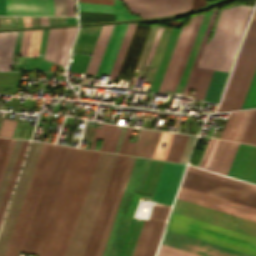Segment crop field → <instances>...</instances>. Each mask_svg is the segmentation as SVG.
<instances>
[{"label":"crop field","mask_w":256,"mask_h":256,"mask_svg":"<svg viewBox=\"0 0 256 256\" xmlns=\"http://www.w3.org/2000/svg\"><path fill=\"white\" fill-rule=\"evenodd\" d=\"M133 128H128L119 153L124 154Z\"/></svg>","instance_id":"53"},{"label":"crop field","mask_w":256,"mask_h":256,"mask_svg":"<svg viewBox=\"0 0 256 256\" xmlns=\"http://www.w3.org/2000/svg\"><path fill=\"white\" fill-rule=\"evenodd\" d=\"M182 186L256 207V192L203 176L194 172L185 171Z\"/></svg>","instance_id":"9"},{"label":"crop field","mask_w":256,"mask_h":256,"mask_svg":"<svg viewBox=\"0 0 256 256\" xmlns=\"http://www.w3.org/2000/svg\"><path fill=\"white\" fill-rule=\"evenodd\" d=\"M114 2L115 6L82 2H78V6L79 10L116 13V20L138 18L135 15L131 16L128 14L127 10L120 1L114 0Z\"/></svg>","instance_id":"27"},{"label":"crop field","mask_w":256,"mask_h":256,"mask_svg":"<svg viewBox=\"0 0 256 256\" xmlns=\"http://www.w3.org/2000/svg\"><path fill=\"white\" fill-rule=\"evenodd\" d=\"M56 145L47 144L8 256H17ZM76 148L57 145L21 251L39 254Z\"/></svg>","instance_id":"1"},{"label":"crop field","mask_w":256,"mask_h":256,"mask_svg":"<svg viewBox=\"0 0 256 256\" xmlns=\"http://www.w3.org/2000/svg\"><path fill=\"white\" fill-rule=\"evenodd\" d=\"M196 136L189 135L179 162L186 163Z\"/></svg>","instance_id":"45"},{"label":"crop field","mask_w":256,"mask_h":256,"mask_svg":"<svg viewBox=\"0 0 256 256\" xmlns=\"http://www.w3.org/2000/svg\"><path fill=\"white\" fill-rule=\"evenodd\" d=\"M217 12V9L213 10L212 15L210 17L209 23L207 25L205 34L203 36L202 42L200 44L199 50L197 52L195 61L193 63L192 69L190 71L186 86H185V93L184 94H188L190 88L197 90L194 98L196 99H200L202 100L204 97V94L207 90L212 72L211 70H206V69H200V68H196L197 63L199 61L202 49L204 47V44L207 40L208 37V32L210 30V27L212 25V22L214 20L215 14Z\"/></svg>","instance_id":"20"},{"label":"crop field","mask_w":256,"mask_h":256,"mask_svg":"<svg viewBox=\"0 0 256 256\" xmlns=\"http://www.w3.org/2000/svg\"><path fill=\"white\" fill-rule=\"evenodd\" d=\"M115 154L100 153L65 256H82L108 184Z\"/></svg>","instance_id":"4"},{"label":"crop field","mask_w":256,"mask_h":256,"mask_svg":"<svg viewBox=\"0 0 256 256\" xmlns=\"http://www.w3.org/2000/svg\"><path fill=\"white\" fill-rule=\"evenodd\" d=\"M173 135L174 134H171V133H165V132L161 133V136H160V139H159V142H158V145H157V148H156L153 158L162 159V160L165 159V156L167 154V151L170 146ZM162 143H167L166 148L160 147Z\"/></svg>","instance_id":"39"},{"label":"crop field","mask_w":256,"mask_h":256,"mask_svg":"<svg viewBox=\"0 0 256 256\" xmlns=\"http://www.w3.org/2000/svg\"><path fill=\"white\" fill-rule=\"evenodd\" d=\"M120 131H121V130H119V129H117V130H116V133H115L114 139H113V141H112V144H111V147H110V150H109V151H111V152H113V151H114V148H115L116 142H117V140H118V137H119Z\"/></svg>","instance_id":"57"},{"label":"crop field","mask_w":256,"mask_h":256,"mask_svg":"<svg viewBox=\"0 0 256 256\" xmlns=\"http://www.w3.org/2000/svg\"><path fill=\"white\" fill-rule=\"evenodd\" d=\"M119 25H120V24H117V25H115L114 28H113L112 34H111V36H110L109 42H108V44H107V47H106V49H105L104 55H103V57H102L101 63H100V65H99L98 71H97V73H96L95 76H98V77L101 76V73H102V71H103L104 65H105V63H106L107 57H108V55H109L111 46H112V44H113L114 38H115L116 33H117V30H118V28H119Z\"/></svg>","instance_id":"42"},{"label":"crop field","mask_w":256,"mask_h":256,"mask_svg":"<svg viewBox=\"0 0 256 256\" xmlns=\"http://www.w3.org/2000/svg\"><path fill=\"white\" fill-rule=\"evenodd\" d=\"M128 24H121L103 72L109 73Z\"/></svg>","instance_id":"32"},{"label":"crop field","mask_w":256,"mask_h":256,"mask_svg":"<svg viewBox=\"0 0 256 256\" xmlns=\"http://www.w3.org/2000/svg\"><path fill=\"white\" fill-rule=\"evenodd\" d=\"M162 28H163V27H161V26L158 27L157 32H156V35H155V37H154V40H153V42H152V45H151V47H150L149 53H148L147 58H146L145 61H148V62L151 61V58H152V56H153V53H154L156 44H157L158 39H159V36H160V33H161V31H162Z\"/></svg>","instance_id":"48"},{"label":"crop field","mask_w":256,"mask_h":256,"mask_svg":"<svg viewBox=\"0 0 256 256\" xmlns=\"http://www.w3.org/2000/svg\"><path fill=\"white\" fill-rule=\"evenodd\" d=\"M28 142L29 141H26V140L22 141L19 153L17 155V158H16V161H15V164H14L9 182L7 184V187H6V190H5L1 205H0V223H1V220H2V217H3V214L5 212V209H6V206H7V203H8L13 185L15 183V180H16V177H17V174H18L23 156L25 154V151H26V148H27V145H28Z\"/></svg>","instance_id":"30"},{"label":"crop field","mask_w":256,"mask_h":256,"mask_svg":"<svg viewBox=\"0 0 256 256\" xmlns=\"http://www.w3.org/2000/svg\"><path fill=\"white\" fill-rule=\"evenodd\" d=\"M252 7L236 5L220 13L214 36L197 67L228 72Z\"/></svg>","instance_id":"3"},{"label":"crop field","mask_w":256,"mask_h":256,"mask_svg":"<svg viewBox=\"0 0 256 256\" xmlns=\"http://www.w3.org/2000/svg\"><path fill=\"white\" fill-rule=\"evenodd\" d=\"M206 5V0H192V9Z\"/></svg>","instance_id":"59"},{"label":"crop field","mask_w":256,"mask_h":256,"mask_svg":"<svg viewBox=\"0 0 256 256\" xmlns=\"http://www.w3.org/2000/svg\"><path fill=\"white\" fill-rule=\"evenodd\" d=\"M14 141H15V140H13V139L11 140V143H10V146H9V148H8V151H7L5 160H4V162H3V165H2V168H1V171H0V181H1L2 175H3V173H4V170H5V167H6V164H7L9 155H10V152H11V150H12Z\"/></svg>","instance_id":"52"},{"label":"crop field","mask_w":256,"mask_h":256,"mask_svg":"<svg viewBox=\"0 0 256 256\" xmlns=\"http://www.w3.org/2000/svg\"><path fill=\"white\" fill-rule=\"evenodd\" d=\"M76 33V27H68L65 31V37H64V43H63V49H62V55H61V65H66L68 53H69V47L72 43V40L74 38V35Z\"/></svg>","instance_id":"38"},{"label":"crop field","mask_w":256,"mask_h":256,"mask_svg":"<svg viewBox=\"0 0 256 256\" xmlns=\"http://www.w3.org/2000/svg\"><path fill=\"white\" fill-rule=\"evenodd\" d=\"M255 65L256 20L252 19L218 111L240 108Z\"/></svg>","instance_id":"7"},{"label":"crop field","mask_w":256,"mask_h":256,"mask_svg":"<svg viewBox=\"0 0 256 256\" xmlns=\"http://www.w3.org/2000/svg\"><path fill=\"white\" fill-rule=\"evenodd\" d=\"M125 132H126V131H124V130H122V131H121V134H120L119 140H118V142H117V145H116V148H115V151H114V152H116V153H118V152H119V149H120V146H121L122 140H123V138H124Z\"/></svg>","instance_id":"60"},{"label":"crop field","mask_w":256,"mask_h":256,"mask_svg":"<svg viewBox=\"0 0 256 256\" xmlns=\"http://www.w3.org/2000/svg\"><path fill=\"white\" fill-rule=\"evenodd\" d=\"M11 139L0 138V168Z\"/></svg>","instance_id":"47"},{"label":"crop field","mask_w":256,"mask_h":256,"mask_svg":"<svg viewBox=\"0 0 256 256\" xmlns=\"http://www.w3.org/2000/svg\"><path fill=\"white\" fill-rule=\"evenodd\" d=\"M13 56H16V57H18V54H14Z\"/></svg>","instance_id":"62"},{"label":"crop field","mask_w":256,"mask_h":256,"mask_svg":"<svg viewBox=\"0 0 256 256\" xmlns=\"http://www.w3.org/2000/svg\"><path fill=\"white\" fill-rule=\"evenodd\" d=\"M111 127H112V126H110V125L107 126V130H106V132H105L104 139H103V142H102V146H101V149H100V150H102V151L104 150V147H105L107 138H108V136H109Z\"/></svg>","instance_id":"58"},{"label":"crop field","mask_w":256,"mask_h":256,"mask_svg":"<svg viewBox=\"0 0 256 256\" xmlns=\"http://www.w3.org/2000/svg\"><path fill=\"white\" fill-rule=\"evenodd\" d=\"M55 15H66L65 0H54Z\"/></svg>","instance_id":"49"},{"label":"crop field","mask_w":256,"mask_h":256,"mask_svg":"<svg viewBox=\"0 0 256 256\" xmlns=\"http://www.w3.org/2000/svg\"><path fill=\"white\" fill-rule=\"evenodd\" d=\"M42 31L43 29L32 30L26 56L37 58Z\"/></svg>","instance_id":"36"},{"label":"crop field","mask_w":256,"mask_h":256,"mask_svg":"<svg viewBox=\"0 0 256 256\" xmlns=\"http://www.w3.org/2000/svg\"><path fill=\"white\" fill-rule=\"evenodd\" d=\"M106 126H107V125L103 124L102 127H101V129L92 128V129L96 130V132H95V135H94V138H93L91 147H90L91 149H94L96 139H102V138H103V135H104Z\"/></svg>","instance_id":"51"},{"label":"crop field","mask_w":256,"mask_h":256,"mask_svg":"<svg viewBox=\"0 0 256 256\" xmlns=\"http://www.w3.org/2000/svg\"><path fill=\"white\" fill-rule=\"evenodd\" d=\"M160 133L141 129L133 155L152 158Z\"/></svg>","instance_id":"25"},{"label":"crop field","mask_w":256,"mask_h":256,"mask_svg":"<svg viewBox=\"0 0 256 256\" xmlns=\"http://www.w3.org/2000/svg\"><path fill=\"white\" fill-rule=\"evenodd\" d=\"M142 18L166 16L191 9L190 0H124Z\"/></svg>","instance_id":"17"},{"label":"crop field","mask_w":256,"mask_h":256,"mask_svg":"<svg viewBox=\"0 0 256 256\" xmlns=\"http://www.w3.org/2000/svg\"><path fill=\"white\" fill-rule=\"evenodd\" d=\"M169 210L170 209H168V208H162V207L155 206L151 217L166 219L168 217Z\"/></svg>","instance_id":"46"},{"label":"crop field","mask_w":256,"mask_h":256,"mask_svg":"<svg viewBox=\"0 0 256 256\" xmlns=\"http://www.w3.org/2000/svg\"><path fill=\"white\" fill-rule=\"evenodd\" d=\"M241 142L256 145V110L252 115V118Z\"/></svg>","instance_id":"40"},{"label":"crop field","mask_w":256,"mask_h":256,"mask_svg":"<svg viewBox=\"0 0 256 256\" xmlns=\"http://www.w3.org/2000/svg\"><path fill=\"white\" fill-rule=\"evenodd\" d=\"M172 211L256 237V222L253 221L177 198L175 199Z\"/></svg>","instance_id":"10"},{"label":"crop field","mask_w":256,"mask_h":256,"mask_svg":"<svg viewBox=\"0 0 256 256\" xmlns=\"http://www.w3.org/2000/svg\"><path fill=\"white\" fill-rule=\"evenodd\" d=\"M239 144L210 138L198 166L226 175Z\"/></svg>","instance_id":"14"},{"label":"crop field","mask_w":256,"mask_h":256,"mask_svg":"<svg viewBox=\"0 0 256 256\" xmlns=\"http://www.w3.org/2000/svg\"><path fill=\"white\" fill-rule=\"evenodd\" d=\"M186 169L190 170V171L200 173V174H203V175H207V176H210V177H213V178H216V179H220V180H223V181H226V182H229V183H233V184H236V185H239V186H242V187H246V188H249V189H252V190L256 191V186L251 185V184H247V183H244V182H241V181H237V180H234V179H231V178H227V177H224V176H221V175H217V174H214V173H211V172H207V171H204V170H201V169H197V168L191 167L189 165L187 166Z\"/></svg>","instance_id":"37"},{"label":"crop field","mask_w":256,"mask_h":256,"mask_svg":"<svg viewBox=\"0 0 256 256\" xmlns=\"http://www.w3.org/2000/svg\"><path fill=\"white\" fill-rule=\"evenodd\" d=\"M253 111L231 113L220 138L240 142Z\"/></svg>","instance_id":"24"},{"label":"crop field","mask_w":256,"mask_h":256,"mask_svg":"<svg viewBox=\"0 0 256 256\" xmlns=\"http://www.w3.org/2000/svg\"><path fill=\"white\" fill-rule=\"evenodd\" d=\"M181 29L173 28L150 91L157 92Z\"/></svg>","instance_id":"29"},{"label":"crop field","mask_w":256,"mask_h":256,"mask_svg":"<svg viewBox=\"0 0 256 256\" xmlns=\"http://www.w3.org/2000/svg\"><path fill=\"white\" fill-rule=\"evenodd\" d=\"M177 198L194 202L203 206L217 209L239 217L256 221V208L192 190L186 187H180Z\"/></svg>","instance_id":"13"},{"label":"crop field","mask_w":256,"mask_h":256,"mask_svg":"<svg viewBox=\"0 0 256 256\" xmlns=\"http://www.w3.org/2000/svg\"><path fill=\"white\" fill-rule=\"evenodd\" d=\"M157 256H199L169 246L160 245Z\"/></svg>","instance_id":"41"},{"label":"crop field","mask_w":256,"mask_h":256,"mask_svg":"<svg viewBox=\"0 0 256 256\" xmlns=\"http://www.w3.org/2000/svg\"><path fill=\"white\" fill-rule=\"evenodd\" d=\"M162 244L170 245L202 256H250L195 238L165 230Z\"/></svg>","instance_id":"15"},{"label":"crop field","mask_w":256,"mask_h":256,"mask_svg":"<svg viewBox=\"0 0 256 256\" xmlns=\"http://www.w3.org/2000/svg\"><path fill=\"white\" fill-rule=\"evenodd\" d=\"M256 107V68L240 109Z\"/></svg>","instance_id":"34"},{"label":"crop field","mask_w":256,"mask_h":256,"mask_svg":"<svg viewBox=\"0 0 256 256\" xmlns=\"http://www.w3.org/2000/svg\"><path fill=\"white\" fill-rule=\"evenodd\" d=\"M129 156L118 155L83 256H94Z\"/></svg>","instance_id":"12"},{"label":"crop field","mask_w":256,"mask_h":256,"mask_svg":"<svg viewBox=\"0 0 256 256\" xmlns=\"http://www.w3.org/2000/svg\"><path fill=\"white\" fill-rule=\"evenodd\" d=\"M17 31L0 33V70H10Z\"/></svg>","instance_id":"26"},{"label":"crop field","mask_w":256,"mask_h":256,"mask_svg":"<svg viewBox=\"0 0 256 256\" xmlns=\"http://www.w3.org/2000/svg\"><path fill=\"white\" fill-rule=\"evenodd\" d=\"M21 141L22 140H16L15 141L13 150L11 152V155H10V158H9V161H8L5 173L3 175V178H2V181H1V184H0V201L2 199V196H3V193H4V190H5V187H6V184H7V181H8L10 172H11V169L13 167V164H14V161H15L18 149H19L20 144H21Z\"/></svg>","instance_id":"33"},{"label":"crop field","mask_w":256,"mask_h":256,"mask_svg":"<svg viewBox=\"0 0 256 256\" xmlns=\"http://www.w3.org/2000/svg\"><path fill=\"white\" fill-rule=\"evenodd\" d=\"M164 162L161 161H155L152 160L150 167L148 169L141 193L139 197L145 198V199H152L162 166ZM142 219H140V222L137 221V219L132 218L120 255L119 256H131L132 252L134 250L139 232L141 230L142 224H143Z\"/></svg>","instance_id":"16"},{"label":"crop field","mask_w":256,"mask_h":256,"mask_svg":"<svg viewBox=\"0 0 256 256\" xmlns=\"http://www.w3.org/2000/svg\"><path fill=\"white\" fill-rule=\"evenodd\" d=\"M41 19H42V17H41ZM42 23H43V21H42Z\"/></svg>","instance_id":"63"},{"label":"crop field","mask_w":256,"mask_h":256,"mask_svg":"<svg viewBox=\"0 0 256 256\" xmlns=\"http://www.w3.org/2000/svg\"><path fill=\"white\" fill-rule=\"evenodd\" d=\"M117 126H113L104 151H108Z\"/></svg>","instance_id":"56"},{"label":"crop field","mask_w":256,"mask_h":256,"mask_svg":"<svg viewBox=\"0 0 256 256\" xmlns=\"http://www.w3.org/2000/svg\"><path fill=\"white\" fill-rule=\"evenodd\" d=\"M169 220L183 224V225H187L193 228H197L203 231H207L213 234H217L226 238H230L236 241H240L246 244L256 246L255 237L245 235L239 232H235V231L222 228L216 225H212V224L199 221L190 217H186L180 214H176L172 212ZM170 221L168 222V225L166 227L169 230L256 256V247L246 245L240 242H236L230 239H226V238L213 235L207 232H203L197 229H193L187 226H183L177 223H173Z\"/></svg>","instance_id":"6"},{"label":"crop field","mask_w":256,"mask_h":256,"mask_svg":"<svg viewBox=\"0 0 256 256\" xmlns=\"http://www.w3.org/2000/svg\"><path fill=\"white\" fill-rule=\"evenodd\" d=\"M67 15H75L74 0H66Z\"/></svg>","instance_id":"54"},{"label":"crop field","mask_w":256,"mask_h":256,"mask_svg":"<svg viewBox=\"0 0 256 256\" xmlns=\"http://www.w3.org/2000/svg\"><path fill=\"white\" fill-rule=\"evenodd\" d=\"M43 143L32 142L0 233V256L4 255L26 189Z\"/></svg>","instance_id":"11"},{"label":"crop field","mask_w":256,"mask_h":256,"mask_svg":"<svg viewBox=\"0 0 256 256\" xmlns=\"http://www.w3.org/2000/svg\"><path fill=\"white\" fill-rule=\"evenodd\" d=\"M30 32H31V30H27V31H24V33H23V38H22V43H21V48H20L19 55L25 56V54H26Z\"/></svg>","instance_id":"50"},{"label":"crop field","mask_w":256,"mask_h":256,"mask_svg":"<svg viewBox=\"0 0 256 256\" xmlns=\"http://www.w3.org/2000/svg\"><path fill=\"white\" fill-rule=\"evenodd\" d=\"M45 145H46V144H43L42 150H41V152H40V155H39V158H38V161H37V164H36L35 170H34V172H33V175H32V178H31V181H30V184H29L28 190H27V192H26V195H25V198H24V201H23L22 207H21V209H20V212H19V215H18V218H17L16 224H15V227H14V229H13V232H12V235H11V238H10V241H9V244H8V247H7V249H6V252H5V255H4V256H6V255H7V253H8L9 247H10V245H11L12 239H13L14 234H15V231H16V229H17V226H18V223H19V220H20V217H21V214H22V211H23L24 205H25V201H26L27 195H28V192H29L30 186H31V184H32V181H33V178H34L35 172H36V170H37V167H38V164H39L40 158H41V156H42L43 150H44V148H45Z\"/></svg>","instance_id":"43"},{"label":"crop field","mask_w":256,"mask_h":256,"mask_svg":"<svg viewBox=\"0 0 256 256\" xmlns=\"http://www.w3.org/2000/svg\"><path fill=\"white\" fill-rule=\"evenodd\" d=\"M203 15L192 17L189 23L182 27L158 92L164 93L166 89L176 90Z\"/></svg>","instance_id":"8"},{"label":"crop field","mask_w":256,"mask_h":256,"mask_svg":"<svg viewBox=\"0 0 256 256\" xmlns=\"http://www.w3.org/2000/svg\"><path fill=\"white\" fill-rule=\"evenodd\" d=\"M78 1L114 5L113 0H78Z\"/></svg>","instance_id":"55"},{"label":"crop field","mask_w":256,"mask_h":256,"mask_svg":"<svg viewBox=\"0 0 256 256\" xmlns=\"http://www.w3.org/2000/svg\"><path fill=\"white\" fill-rule=\"evenodd\" d=\"M16 122L17 121H12L10 119L4 118L0 129V136L11 137Z\"/></svg>","instance_id":"44"},{"label":"crop field","mask_w":256,"mask_h":256,"mask_svg":"<svg viewBox=\"0 0 256 256\" xmlns=\"http://www.w3.org/2000/svg\"><path fill=\"white\" fill-rule=\"evenodd\" d=\"M100 152L77 148L39 256H63Z\"/></svg>","instance_id":"2"},{"label":"crop field","mask_w":256,"mask_h":256,"mask_svg":"<svg viewBox=\"0 0 256 256\" xmlns=\"http://www.w3.org/2000/svg\"><path fill=\"white\" fill-rule=\"evenodd\" d=\"M60 28H53L49 31L44 58L53 62Z\"/></svg>","instance_id":"35"},{"label":"crop field","mask_w":256,"mask_h":256,"mask_svg":"<svg viewBox=\"0 0 256 256\" xmlns=\"http://www.w3.org/2000/svg\"><path fill=\"white\" fill-rule=\"evenodd\" d=\"M188 135L175 134L165 160L178 162Z\"/></svg>","instance_id":"31"},{"label":"crop field","mask_w":256,"mask_h":256,"mask_svg":"<svg viewBox=\"0 0 256 256\" xmlns=\"http://www.w3.org/2000/svg\"><path fill=\"white\" fill-rule=\"evenodd\" d=\"M7 15H54L53 0H6Z\"/></svg>","instance_id":"23"},{"label":"crop field","mask_w":256,"mask_h":256,"mask_svg":"<svg viewBox=\"0 0 256 256\" xmlns=\"http://www.w3.org/2000/svg\"><path fill=\"white\" fill-rule=\"evenodd\" d=\"M164 225L161 221L145 220L132 256H154Z\"/></svg>","instance_id":"21"},{"label":"crop field","mask_w":256,"mask_h":256,"mask_svg":"<svg viewBox=\"0 0 256 256\" xmlns=\"http://www.w3.org/2000/svg\"><path fill=\"white\" fill-rule=\"evenodd\" d=\"M227 175L256 184V146L241 143Z\"/></svg>","instance_id":"19"},{"label":"crop field","mask_w":256,"mask_h":256,"mask_svg":"<svg viewBox=\"0 0 256 256\" xmlns=\"http://www.w3.org/2000/svg\"><path fill=\"white\" fill-rule=\"evenodd\" d=\"M150 26L137 24L117 77L130 79Z\"/></svg>","instance_id":"22"},{"label":"crop field","mask_w":256,"mask_h":256,"mask_svg":"<svg viewBox=\"0 0 256 256\" xmlns=\"http://www.w3.org/2000/svg\"><path fill=\"white\" fill-rule=\"evenodd\" d=\"M114 25H103L86 73L95 74Z\"/></svg>","instance_id":"28"},{"label":"crop field","mask_w":256,"mask_h":256,"mask_svg":"<svg viewBox=\"0 0 256 256\" xmlns=\"http://www.w3.org/2000/svg\"><path fill=\"white\" fill-rule=\"evenodd\" d=\"M134 158L135 157H132V156L129 157V160H128V163H127V166H126L121 184L119 186L115 201L113 203L109 218L107 220V223H106V226H105V229H104L103 235L101 237V240H100V243H99V246H98V249H97V252H96L95 256H101L102 255V252H103V249H104V246H105V243H106V240H107V237H108L113 219L115 217V214H116V211H117V208H118V205H119V202H120V199H121V196H122V193H123L126 181H127V178L129 176V173H130L133 161H134ZM150 161L151 160H149V159L141 158L139 166L137 168L139 158H137V157L135 158L130 176L128 178V181H127V184H126V187H125V190H124V193H123V196H122V199H121V202H120L116 217L114 219V222H113V225H112V228H111V231H110V234H109V237H108V240H107V243H106V246H105V249H104V252H103L102 256H106V254H107V251H108L110 242L112 240V237H113L118 219L120 217V214H121L126 196L128 194V191H129V188H130L135 170L137 168L132 186L130 188L125 206L123 208L118 226L116 228L111 246H110L108 254H107V256H118L121 245H122V242H123V239H124V236H125V233H126V230H127V227H128V224H129V223L123 222V220H124L127 208H128V204H129L132 192H133V190H137V191L141 190V187H142L147 169L149 167Z\"/></svg>","instance_id":"5"},{"label":"crop field","mask_w":256,"mask_h":256,"mask_svg":"<svg viewBox=\"0 0 256 256\" xmlns=\"http://www.w3.org/2000/svg\"><path fill=\"white\" fill-rule=\"evenodd\" d=\"M0 15H6L5 0H0Z\"/></svg>","instance_id":"61"},{"label":"crop field","mask_w":256,"mask_h":256,"mask_svg":"<svg viewBox=\"0 0 256 256\" xmlns=\"http://www.w3.org/2000/svg\"><path fill=\"white\" fill-rule=\"evenodd\" d=\"M185 166L183 164L164 163L152 200L173 203Z\"/></svg>","instance_id":"18"}]
</instances>
